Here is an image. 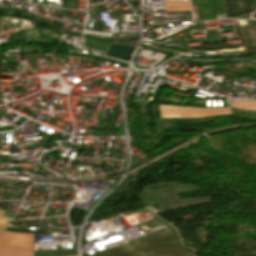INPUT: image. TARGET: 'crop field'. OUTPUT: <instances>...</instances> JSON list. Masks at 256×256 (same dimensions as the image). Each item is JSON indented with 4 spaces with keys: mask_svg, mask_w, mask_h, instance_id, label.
<instances>
[{
    "mask_svg": "<svg viewBox=\"0 0 256 256\" xmlns=\"http://www.w3.org/2000/svg\"><path fill=\"white\" fill-rule=\"evenodd\" d=\"M91 256H193L170 227Z\"/></svg>",
    "mask_w": 256,
    "mask_h": 256,
    "instance_id": "obj_1",
    "label": "crop field"
},
{
    "mask_svg": "<svg viewBox=\"0 0 256 256\" xmlns=\"http://www.w3.org/2000/svg\"><path fill=\"white\" fill-rule=\"evenodd\" d=\"M0 249L33 251V248H27V247H12V246H5V245H0Z\"/></svg>",
    "mask_w": 256,
    "mask_h": 256,
    "instance_id": "obj_8",
    "label": "crop field"
},
{
    "mask_svg": "<svg viewBox=\"0 0 256 256\" xmlns=\"http://www.w3.org/2000/svg\"><path fill=\"white\" fill-rule=\"evenodd\" d=\"M7 231L20 232V233H44L43 231H21V230H15V229H10V228H8Z\"/></svg>",
    "mask_w": 256,
    "mask_h": 256,
    "instance_id": "obj_10",
    "label": "crop field"
},
{
    "mask_svg": "<svg viewBox=\"0 0 256 256\" xmlns=\"http://www.w3.org/2000/svg\"><path fill=\"white\" fill-rule=\"evenodd\" d=\"M190 11L189 3L166 1L165 12Z\"/></svg>",
    "mask_w": 256,
    "mask_h": 256,
    "instance_id": "obj_5",
    "label": "crop field"
},
{
    "mask_svg": "<svg viewBox=\"0 0 256 256\" xmlns=\"http://www.w3.org/2000/svg\"><path fill=\"white\" fill-rule=\"evenodd\" d=\"M227 18H234L256 10V0H225Z\"/></svg>",
    "mask_w": 256,
    "mask_h": 256,
    "instance_id": "obj_2",
    "label": "crop field"
},
{
    "mask_svg": "<svg viewBox=\"0 0 256 256\" xmlns=\"http://www.w3.org/2000/svg\"><path fill=\"white\" fill-rule=\"evenodd\" d=\"M4 210H0V232L3 233L5 228L8 226L11 218H7L2 216L4 214Z\"/></svg>",
    "mask_w": 256,
    "mask_h": 256,
    "instance_id": "obj_7",
    "label": "crop field"
},
{
    "mask_svg": "<svg viewBox=\"0 0 256 256\" xmlns=\"http://www.w3.org/2000/svg\"><path fill=\"white\" fill-rule=\"evenodd\" d=\"M0 256H33V252L0 250Z\"/></svg>",
    "mask_w": 256,
    "mask_h": 256,
    "instance_id": "obj_6",
    "label": "crop field"
},
{
    "mask_svg": "<svg viewBox=\"0 0 256 256\" xmlns=\"http://www.w3.org/2000/svg\"><path fill=\"white\" fill-rule=\"evenodd\" d=\"M0 239L20 241V242H33V234H19V233L4 232V234L1 236Z\"/></svg>",
    "mask_w": 256,
    "mask_h": 256,
    "instance_id": "obj_4",
    "label": "crop field"
},
{
    "mask_svg": "<svg viewBox=\"0 0 256 256\" xmlns=\"http://www.w3.org/2000/svg\"><path fill=\"white\" fill-rule=\"evenodd\" d=\"M246 65H250V64H246ZM250 66H256V65H250Z\"/></svg>",
    "mask_w": 256,
    "mask_h": 256,
    "instance_id": "obj_12",
    "label": "crop field"
},
{
    "mask_svg": "<svg viewBox=\"0 0 256 256\" xmlns=\"http://www.w3.org/2000/svg\"><path fill=\"white\" fill-rule=\"evenodd\" d=\"M248 27L239 28L247 45L248 53H256V23L247 22Z\"/></svg>",
    "mask_w": 256,
    "mask_h": 256,
    "instance_id": "obj_3",
    "label": "crop field"
},
{
    "mask_svg": "<svg viewBox=\"0 0 256 256\" xmlns=\"http://www.w3.org/2000/svg\"><path fill=\"white\" fill-rule=\"evenodd\" d=\"M214 119H203V120H176V123H188V122H199V121H211Z\"/></svg>",
    "mask_w": 256,
    "mask_h": 256,
    "instance_id": "obj_9",
    "label": "crop field"
},
{
    "mask_svg": "<svg viewBox=\"0 0 256 256\" xmlns=\"http://www.w3.org/2000/svg\"><path fill=\"white\" fill-rule=\"evenodd\" d=\"M241 59H252V60H256V57L241 58Z\"/></svg>",
    "mask_w": 256,
    "mask_h": 256,
    "instance_id": "obj_11",
    "label": "crop field"
}]
</instances>
